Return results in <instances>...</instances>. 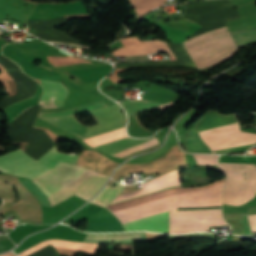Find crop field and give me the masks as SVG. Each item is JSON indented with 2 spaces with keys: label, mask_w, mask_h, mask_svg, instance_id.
Listing matches in <instances>:
<instances>
[{
  "label": "crop field",
  "mask_w": 256,
  "mask_h": 256,
  "mask_svg": "<svg viewBox=\"0 0 256 256\" xmlns=\"http://www.w3.org/2000/svg\"><path fill=\"white\" fill-rule=\"evenodd\" d=\"M225 178L211 183L205 187L200 188H191V189H180V178L178 176V171H172L160 177H157L148 183L141 184L143 189L136 190L124 195H121L113 200L112 203L126 200L129 198L141 196L144 194H148L145 196L129 199L126 201L110 204L107 206L108 210L161 200L165 198L220 188L223 185ZM220 189L170 198L166 200L111 210V212L116 215V217L121 221L122 224L128 223L131 221H135L138 219H142L145 217L153 216L156 214H160L167 211L177 210V207H209V206H217L221 205ZM126 231H134V230H143V231H151V232H163L168 233V212L160 215H156L153 217H149L146 219L138 220L135 222H131L123 225Z\"/></svg>",
  "instance_id": "crop-field-1"
},
{
  "label": "crop field",
  "mask_w": 256,
  "mask_h": 256,
  "mask_svg": "<svg viewBox=\"0 0 256 256\" xmlns=\"http://www.w3.org/2000/svg\"><path fill=\"white\" fill-rule=\"evenodd\" d=\"M107 105L101 102H96L88 105H84L81 107H77L74 109L68 110H60L53 112H41L38 117H52V116H62V115H71L77 113H84L92 110H96L99 108L106 107ZM93 114L99 120L100 123L92 125V126H83L81 125L74 116H62V117H52V118H41L79 138H82L84 131L85 134L83 138L90 137L96 134H100L106 131H110L116 128H120L124 126L125 118L121 112V107L117 104L109 106L107 108L99 109L93 111ZM97 120V121H98ZM82 138V139H83ZM156 140V138L150 137L147 139H132V138H124L114 142H110L101 146L94 147L100 151H103L107 154H115L135 146Z\"/></svg>",
  "instance_id": "crop-field-2"
},
{
  "label": "crop field",
  "mask_w": 256,
  "mask_h": 256,
  "mask_svg": "<svg viewBox=\"0 0 256 256\" xmlns=\"http://www.w3.org/2000/svg\"><path fill=\"white\" fill-rule=\"evenodd\" d=\"M83 170L84 168L76 165L60 163L49 173L33 182L48 195L67 186L76 179ZM107 177V175L85 169L79 177L67 187L48 195L50 204L54 206L74 194L88 201L101 188Z\"/></svg>",
  "instance_id": "crop-field-3"
},
{
  "label": "crop field",
  "mask_w": 256,
  "mask_h": 256,
  "mask_svg": "<svg viewBox=\"0 0 256 256\" xmlns=\"http://www.w3.org/2000/svg\"><path fill=\"white\" fill-rule=\"evenodd\" d=\"M183 45L197 69L214 64L237 49L228 27L188 39Z\"/></svg>",
  "instance_id": "crop-field-4"
},
{
  "label": "crop field",
  "mask_w": 256,
  "mask_h": 256,
  "mask_svg": "<svg viewBox=\"0 0 256 256\" xmlns=\"http://www.w3.org/2000/svg\"><path fill=\"white\" fill-rule=\"evenodd\" d=\"M78 156L58 153L56 148L38 162L29 158L20 148L0 156V170L34 180L53 169L60 162L75 164Z\"/></svg>",
  "instance_id": "crop-field-5"
},
{
  "label": "crop field",
  "mask_w": 256,
  "mask_h": 256,
  "mask_svg": "<svg viewBox=\"0 0 256 256\" xmlns=\"http://www.w3.org/2000/svg\"><path fill=\"white\" fill-rule=\"evenodd\" d=\"M219 167L228 176L222 193L223 204L240 206L256 196V165L219 163Z\"/></svg>",
  "instance_id": "crop-field-6"
},
{
  "label": "crop field",
  "mask_w": 256,
  "mask_h": 256,
  "mask_svg": "<svg viewBox=\"0 0 256 256\" xmlns=\"http://www.w3.org/2000/svg\"><path fill=\"white\" fill-rule=\"evenodd\" d=\"M220 225H227L221 216V209L169 212V233L171 234L209 231V226Z\"/></svg>",
  "instance_id": "crop-field-7"
},
{
  "label": "crop field",
  "mask_w": 256,
  "mask_h": 256,
  "mask_svg": "<svg viewBox=\"0 0 256 256\" xmlns=\"http://www.w3.org/2000/svg\"><path fill=\"white\" fill-rule=\"evenodd\" d=\"M44 94L40 105L44 109L62 107L67 94L66 88L61 82L41 80ZM43 109V110H44Z\"/></svg>",
  "instance_id": "crop-field-8"
},
{
  "label": "crop field",
  "mask_w": 256,
  "mask_h": 256,
  "mask_svg": "<svg viewBox=\"0 0 256 256\" xmlns=\"http://www.w3.org/2000/svg\"><path fill=\"white\" fill-rule=\"evenodd\" d=\"M120 103L124 107L128 116L155 107V106H152V105H149V104L137 101V100L123 101ZM127 131L129 133V135L134 136V137L151 136V134L147 133L146 131H144L143 129H141L138 126L134 116L129 118Z\"/></svg>",
  "instance_id": "crop-field-9"
},
{
  "label": "crop field",
  "mask_w": 256,
  "mask_h": 256,
  "mask_svg": "<svg viewBox=\"0 0 256 256\" xmlns=\"http://www.w3.org/2000/svg\"><path fill=\"white\" fill-rule=\"evenodd\" d=\"M146 241L142 232L120 233V234H90L88 233L84 242L91 243H110V242H133Z\"/></svg>",
  "instance_id": "crop-field-10"
},
{
  "label": "crop field",
  "mask_w": 256,
  "mask_h": 256,
  "mask_svg": "<svg viewBox=\"0 0 256 256\" xmlns=\"http://www.w3.org/2000/svg\"><path fill=\"white\" fill-rule=\"evenodd\" d=\"M134 0H129V2H132ZM165 0H139L137 2L132 3V7L135 9V11L138 13L139 17L143 15L144 13L152 10L156 6H158L160 3H162ZM175 3L174 0H166L161 5L165 4H172Z\"/></svg>",
  "instance_id": "crop-field-11"
},
{
  "label": "crop field",
  "mask_w": 256,
  "mask_h": 256,
  "mask_svg": "<svg viewBox=\"0 0 256 256\" xmlns=\"http://www.w3.org/2000/svg\"><path fill=\"white\" fill-rule=\"evenodd\" d=\"M123 186L117 184L114 187L106 185L105 189L93 200L92 203H96L101 206H106L114 197L122 191Z\"/></svg>",
  "instance_id": "crop-field-12"
},
{
  "label": "crop field",
  "mask_w": 256,
  "mask_h": 256,
  "mask_svg": "<svg viewBox=\"0 0 256 256\" xmlns=\"http://www.w3.org/2000/svg\"><path fill=\"white\" fill-rule=\"evenodd\" d=\"M186 149L191 152H209L212 153V151L209 149L208 146H206L200 139L199 135L190 132L189 138L187 141Z\"/></svg>",
  "instance_id": "crop-field-13"
},
{
  "label": "crop field",
  "mask_w": 256,
  "mask_h": 256,
  "mask_svg": "<svg viewBox=\"0 0 256 256\" xmlns=\"http://www.w3.org/2000/svg\"><path fill=\"white\" fill-rule=\"evenodd\" d=\"M22 182H24L29 189L36 194L43 205L50 206L46 195L29 178L22 180Z\"/></svg>",
  "instance_id": "crop-field-14"
},
{
  "label": "crop field",
  "mask_w": 256,
  "mask_h": 256,
  "mask_svg": "<svg viewBox=\"0 0 256 256\" xmlns=\"http://www.w3.org/2000/svg\"><path fill=\"white\" fill-rule=\"evenodd\" d=\"M252 233L256 232V214L247 215Z\"/></svg>",
  "instance_id": "crop-field-15"
},
{
  "label": "crop field",
  "mask_w": 256,
  "mask_h": 256,
  "mask_svg": "<svg viewBox=\"0 0 256 256\" xmlns=\"http://www.w3.org/2000/svg\"><path fill=\"white\" fill-rule=\"evenodd\" d=\"M176 2H177V0H176Z\"/></svg>",
  "instance_id": "crop-field-16"
}]
</instances>
